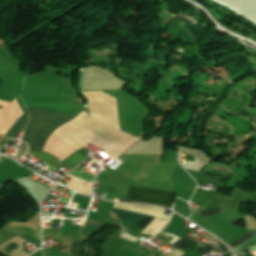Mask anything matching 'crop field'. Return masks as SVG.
<instances>
[{
	"mask_svg": "<svg viewBox=\"0 0 256 256\" xmlns=\"http://www.w3.org/2000/svg\"><path fill=\"white\" fill-rule=\"evenodd\" d=\"M28 109L31 118L22 140L29 144L30 149L42 150L48 136L59 126L74 118L51 111ZM52 134L79 150L85 148V144L89 142L100 149H105V153L115 158L136 140L88 117L87 111H82L76 118L59 127ZM79 150L63 162L47 152L29 151V154L60 170L65 165L72 169L88 157Z\"/></svg>",
	"mask_w": 256,
	"mask_h": 256,
	"instance_id": "8a807250",
	"label": "crop field"
},
{
	"mask_svg": "<svg viewBox=\"0 0 256 256\" xmlns=\"http://www.w3.org/2000/svg\"><path fill=\"white\" fill-rule=\"evenodd\" d=\"M115 208L143 214V215H148V216H153V217H158L162 219L169 220L170 217L161 215L160 213L162 212V208L158 207H141V206H134V205H126V204H120V203H115L114 205ZM113 208L112 212L116 213L121 220H125L130 222L132 225H135L139 220H141L144 216L115 209ZM145 216L141 221H139L136 226H139L141 228H145L154 218L153 217H148Z\"/></svg>",
	"mask_w": 256,
	"mask_h": 256,
	"instance_id": "ac0d7876",
	"label": "crop field"
},
{
	"mask_svg": "<svg viewBox=\"0 0 256 256\" xmlns=\"http://www.w3.org/2000/svg\"><path fill=\"white\" fill-rule=\"evenodd\" d=\"M174 194L167 191L154 190L131 185L129 189V201L159 204L172 208Z\"/></svg>",
	"mask_w": 256,
	"mask_h": 256,
	"instance_id": "34b2d1b8",
	"label": "crop field"
},
{
	"mask_svg": "<svg viewBox=\"0 0 256 256\" xmlns=\"http://www.w3.org/2000/svg\"><path fill=\"white\" fill-rule=\"evenodd\" d=\"M16 99L0 111V134H5L23 115Z\"/></svg>",
	"mask_w": 256,
	"mask_h": 256,
	"instance_id": "412701ff",
	"label": "crop field"
},
{
	"mask_svg": "<svg viewBox=\"0 0 256 256\" xmlns=\"http://www.w3.org/2000/svg\"><path fill=\"white\" fill-rule=\"evenodd\" d=\"M76 148L73 146L69 145L68 143L62 141L61 139L57 138L54 135H50V137L46 141V145L43 149V151H47L50 154H53L60 160H64L67 156L71 155L74 153Z\"/></svg>",
	"mask_w": 256,
	"mask_h": 256,
	"instance_id": "f4fd0767",
	"label": "crop field"
},
{
	"mask_svg": "<svg viewBox=\"0 0 256 256\" xmlns=\"http://www.w3.org/2000/svg\"><path fill=\"white\" fill-rule=\"evenodd\" d=\"M29 119V115L24 114L19 120L18 122L9 130V132L7 134L4 135V137H8V138H16V135L18 133L19 129L24 130L27 122Z\"/></svg>",
	"mask_w": 256,
	"mask_h": 256,
	"instance_id": "dd49c442",
	"label": "crop field"
},
{
	"mask_svg": "<svg viewBox=\"0 0 256 256\" xmlns=\"http://www.w3.org/2000/svg\"><path fill=\"white\" fill-rule=\"evenodd\" d=\"M82 241L71 242V256H82Z\"/></svg>",
	"mask_w": 256,
	"mask_h": 256,
	"instance_id": "e52e79f7",
	"label": "crop field"
},
{
	"mask_svg": "<svg viewBox=\"0 0 256 256\" xmlns=\"http://www.w3.org/2000/svg\"><path fill=\"white\" fill-rule=\"evenodd\" d=\"M194 242H192L191 240L187 239V238H182L179 241H177L175 244H173V246L178 247V248H182L185 250V248L191 246Z\"/></svg>",
	"mask_w": 256,
	"mask_h": 256,
	"instance_id": "d8731c3e",
	"label": "crop field"
},
{
	"mask_svg": "<svg viewBox=\"0 0 256 256\" xmlns=\"http://www.w3.org/2000/svg\"><path fill=\"white\" fill-rule=\"evenodd\" d=\"M256 233H248L246 235H244L243 237L239 238L238 240L230 243L229 245L232 247V248H235L237 247L238 245H240L242 242L246 241L247 239L255 236Z\"/></svg>",
	"mask_w": 256,
	"mask_h": 256,
	"instance_id": "5a996713",
	"label": "crop field"
},
{
	"mask_svg": "<svg viewBox=\"0 0 256 256\" xmlns=\"http://www.w3.org/2000/svg\"><path fill=\"white\" fill-rule=\"evenodd\" d=\"M221 211H223V210L221 208H219L218 206H216V207L207 209L205 211H202V212H200V214H202V215H204L206 217H210V216H212V215H214L216 213H219Z\"/></svg>",
	"mask_w": 256,
	"mask_h": 256,
	"instance_id": "3316defc",
	"label": "crop field"
},
{
	"mask_svg": "<svg viewBox=\"0 0 256 256\" xmlns=\"http://www.w3.org/2000/svg\"><path fill=\"white\" fill-rule=\"evenodd\" d=\"M88 223L92 224V225H95V226H98L100 228H102L103 226L106 225V223H102V222H99V221H96V220H93V219H90V218L88 220Z\"/></svg>",
	"mask_w": 256,
	"mask_h": 256,
	"instance_id": "28ad6ade",
	"label": "crop field"
},
{
	"mask_svg": "<svg viewBox=\"0 0 256 256\" xmlns=\"http://www.w3.org/2000/svg\"><path fill=\"white\" fill-rule=\"evenodd\" d=\"M197 250L199 252H201L202 254H204V253L209 252V251L214 250V249L211 247V245H209V246L197 248Z\"/></svg>",
	"mask_w": 256,
	"mask_h": 256,
	"instance_id": "d1516ede",
	"label": "crop field"
},
{
	"mask_svg": "<svg viewBox=\"0 0 256 256\" xmlns=\"http://www.w3.org/2000/svg\"><path fill=\"white\" fill-rule=\"evenodd\" d=\"M216 247L218 248L221 254L229 251L228 248L223 243L216 245Z\"/></svg>",
	"mask_w": 256,
	"mask_h": 256,
	"instance_id": "22f410ed",
	"label": "crop field"
},
{
	"mask_svg": "<svg viewBox=\"0 0 256 256\" xmlns=\"http://www.w3.org/2000/svg\"><path fill=\"white\" fill-rule=\"evenodd\" d=\"M246 256H253L250 252L246 254Z\"/></svg>",
	"mask_w": 256,
	"mask_h": 256,
	"instance_id": "cbeb9de0",
	"label": "crop field"
}]
</instances>
